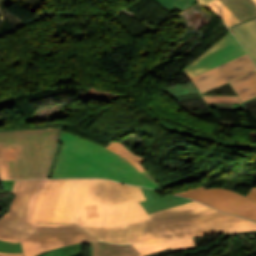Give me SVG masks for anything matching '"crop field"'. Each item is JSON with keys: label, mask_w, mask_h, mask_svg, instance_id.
<instances>
[{"label": "crop field", "mask_w": 256, "mask_h": 256, "mask_svg": "<svg viewBox=\"0 0 256 256\" xmlns=\"http://www.w3.org/2000/svg\"><path fill=\"white\" fill-rule=\"evenodd\" d=\"M208 5L224 20L227 26L239 21L219 0Z\"/></svg>", "instance_id": "17"}, {"label": "crop field", "mask_w": 256, "mask_h": 256, "mask_svg": "<svg viewBox=\"0 0 256 256\" xmlns=\"http://www.w3.org/2000/svg\"><path fill=\"white\" fill-rule=\"evenodd\" d=\"M0 256H10V255H1V254H0ZM19 256H23V255H19Z\"/></svg>", "instance_id": "27"}, {"label": "crop field", "mask_w": 256, "mask_h": 256, "mask_svg": "<svg viewBox=\"0 0 256 256\" xmlns=\"http://www.w3.org/2000/svg\"><path fill=\"white\" fill-rule=\"evenodd\" d=\"M159 121H160V123H161L164 127L168 128V129H170V130H173V131H175V132H178V133H181V134H184V135L193 137V138H197V139H201V140H205V141H209V142H213V143H217V144L229 145V146L240 147V148H245V149H249V150H254V151H256V146L246 145V144H238V143H232V142H227V141H221V140L211 139V138H208V137H205V136H202V135H199V134L190 132V131H188V130L179 128V127H177V126H174V125L169 124V123H167V122H164V121H162V120H159Z\"/></svg>", "instance_id": "15"}, {"label": "crop field", "mask_w": 256, "mask_h": 256, "mask_svg": "<svg viewBox=\"0 0 256 256\" xmlns=\"http://www.w3.org/2000/svg\"><path fill=\"white\" fill-rule=\"evenodd\" d=\"M244 55L246 52L229 33L186 68L184 72L191 78Z\"/></svg>", "instance_id": "7"}, {"label": "crop field", "mask_w": 256, "mask_h": 256, "mask_svg": "<svg viewBox=\"0 0 256 256\" xmlns=\"http://www.w3.org/2000/svg\"><path fill=\"white\" fill-rule=\"evenodd\" d=\"M140 187L106 179H67L52 223H75L88 234L127 244L256 230V222L192 201L147 215Z\"/></svg>", "instance_id": "1"}, {"label": "crop field", "mask_w": 256, "mask_h": 256, "mask_svg": "<svg viewBox=\"0 0 256 256\" xmlns=\"http://www.w3.org/2000/svg\"><path fill=\"white\" fill-rule=\"evenodd\" d=\"M210 108L249 111L244 104H208Z\"/></svg>", "instance_id": "22"}, {"label": "crop field", "mask_w": 256, "mask_h": 256, "mask_svg": "<svg viewBox=\"0 0 256 256\" xmlns=\"http://www.w3.org/2000/svg\"><path fill=\"white\" fill-rule=\"evenodd\" d=\"M178 195L197 199L221 211L239 214L256 221V202L238 193L224 189L205 190L201 187Z\"/></svg>", "instance_id": "6"}, {"label": "crop field", "mask_w": 256, "mask_h": 256, "mask_svg": "<svg viewBox=\"0 0 256 256\" xmlns=\"http://www.w3.org/2000/svg\"><path fill=\"white\" fill-rule=\"evenodd\" d=\"M256 70L249 56L238 58L190 80L199 93Z\"/></svg>", "instance_id": "8"}, {"label": "crop field", "mask_w": 256, "mask_h": 256, "mask_svg": "<svg viewBox=\"0 0 256 256\" xmlns=\"http://www.w3.org/2000/svg\"><path fill=\"white\" fill-rule=\"evenodd\" d=\"M65 180H15L12 193L16 196L0 218V239L21 242L36 231L37 222L51 223Z\"/></svg>", "instance_id": "3"}, {"label": "crop field", "mask_w": 256, "mask_h": 256, "mask_svg": "<svg viewBox=\"0 0 256 256\" xmlns=\"http://www.w3.org/2000/svg\"><path fill=\"white\" fill-rule=\"evenodd\" d=\"M82 244L61 248L60 251L63 256H75L81 254Z\"/></svg>", "instance_id": "23"}, {"label": "crop field", "mask_w": 256, "mask_h": 256, "mask_svg": "<svg viewBox=\"0 0 256 256\" xmlns=\"http://www.w3.org/2000/svg\"><path fill=\"white\" fill-rule=\"evenodd\" d=\"M0 179H1V177H0Z\"/></svg>", "instance_id": "29"}, {"label": "crop field", "mask_w": 256, "mask_h": 256, "mask_svg": "<svg viewBox=\"0 0 256 256\" xmlns=\"http://www.w3.org/2000/svg\"><path fill=\"white\" fill-rule=\"evenodd\" d=\"M240 21L256 16L253 0H220Z\"/></svg>", "instance_id": "14"}, {"label": "crop field", "mask_w": 256, "mask_h": 256, "mask_svg": "<svg viewBox=\"0 0 256 256\" xmlns=\"http://www.w3.org/2000/svg\"><path fill=\"white\" fill-rule=\"evenodd\" d=\"M61 142L65 145L58 158L54 178H108L160 189L147 170L139 173L131 163L102 146L64 132Z\"/></svg>", "instance_id": "2"}, {"label": "crop field", "mask_w": 256, "mask_h": 256, "mask_svg": "<svg viewBox=\"0 0 256 256\" xmlns=\"http://www.w3.org/2000/svg\"><path fill=\"white\" fill-rule=\"evenodd\" d=\"M162 6H164L169 11L173 10L174 5L176 8L183 10L190 5L196 3V0H157Z\"/></svg>", "instance_id": "18"}, {"label": "crop field", "mask_w": 256, "mask_h": 256, "mask_svg": "<svg viewBox=\"0 0 256 256\" xmlns=\"http://www.w3.org/2000/svg\"><path fill=\"white\" fill-rule=\"evenodd\" d=\"M142 255L151 254L161 249L172 248L173 251L195 248L193 239H181L148 244H134Z\"/></svg>", "instance_id": "13"}, {"label": "crop field", "mask_w": 256, "mask_h": 256, "mask_svg": "<svg viewBox=\"0 0 256 256\" xmlns=\"http://www.w3.org/2000/svg\"><path fill=\"white\" fill-rule=\"evenodd\" d=\"M161 89L163 91H165L168 95L196 91L191 82L178 84V85H174V86H169V87H165V88H161Z\"/></svg>", "instance_id": "19"}, {"label": "crop field", "mask_w": 256, "mask_h": 256, "mask_svg": "<svg viewBox=\"0 0 256 256\" xmlns=\"http://www.w3.org/2000/svg\"><path fill=\"white\" fill-rule=\"evenodd\" d=\"M142 190L147 201H143L141 204L148 214L192 201L172 195L159 197L154 190L144 188Z\"/></svg>", "instance_id": "11"}, {"label": "crop field", "mask_w": 256, "mask_h": 256, "mask_svg": "<svg viewBox=\"0 0 256 256\" xmlns=\"http://www.w3.org/2000/svg\"><path fill=\"white\" fill-rule=\"evenodd\" d=\"M230 30L256 64V18L234 25Z\"/></svg>", "instance_id": "10"}, {"label": "crop field", "mask_w": 256, "mask_h": 256, "mask_svg": "<svg viewBox=\"0 0 256 256\" xmlns=\"http://www.w3.org/2000/svg\"><path fill=\"white\" fill-rule=\"evenodd\" d=\"M98 240L75 224L38 223L37 231L21 242L25 256H36L64 245Z\"/></svg>", "instance_id": "5"}, {"label": "crop field", "mask_w": 256, "mask_h": 256, "mask_svg": "<svg viewBox=\"0 0 256 256\" xmlns=\"http://www.w3.org/2000/svg\"><path fill=\"white\" fill-rule=\"evenodd\" d=\"M0 172L2 179H11L3 144H0Z\"/></svg>", "instance_id": "20"}, {"label": "crop field", "mask_w": 256, "mask_h": 256, "mask_svg": "<svg viewBox=\"0 0 256 256\" xmlns=\"http://www.w3.org/2000/svg\"><path fill=\"white\" fill-rule=\"evenodd\" d=\"M106 148L120 154L125 159H127L129 162H131L133 165L137 167L139 172L145 170V168L141 165L140 162L144 161V159L132 154L126 147H124L122 144L113 141L110 145H108Z\"/></svg>", "instance_id": "16"}, {"label": "crop field", "mask_w": 256, "mask_h": 256, "mask_svg": "<svg viewBox=\"0 0 256 256\" xmlns=\"http://www.w3.org/2000/svg\"><path fill=\"white\" fill-rule=\"evenodd\" d=\"M247 197L256 201V188H252L251 191L248 193Z\"/></svg>", "instance_id": "25"}, {"label": "crop field", "mask_w": 256, "mask_h": 256, "mask_svg": "<svg viewBox=\"0 0 256 256\" xmlns=\"http://www.w3.org/2000/svg\"><path fill=\"white\" fill-rule=\"evenodd\" d=\"M0 251L9 253H20L21 245L20 243H12L0 240Z\"/></svg>", "instance_id": "21"}, {"label": "crop field", "mask_w": 256, "mask_h": 256, "mask_svg": "<svg viewBox=\"0 0 256 256\" xmlns=\"http://www.w3.org/2000/svg\"><path fill=\"white\" fill-rule=\"evenodd\" d=\"M212 0H198V2L203 6L205 4H207L208 2H210Z\"/></svg>", "instance_id": "26"}, {"label": "crop field", "mask_w": 256, "mask_h": 256, "mask_svg": "<svg viewBox=\"0 0 256 256\" xmlns=\"http://www.w3.org/2000/svg\"><path fill=\"white\" fill-rule=\"evenodd\" d=\"M238 95H205L207 103H244L256 98V71L231 82Z\"/></svg>", "instance_id": "9"}, {"label": "crop field", "mask_w": 256, "mask_h": 256, "mask_svg": "<svg viewBox=\"0 0 256 256\" xmlns=\"http://www.w3.org/2000/svg\"><path fill=\"white\" fill-rule=\"evenodd\" d=\"M255 1V3H256V0H254Z\"/></svg>", "instance_id": "28"}, {"label": "crop field", "mask_w": 256, "mask_h": 256, "mask_svg": "<svg viewBox=\"0 0 256 256\" xmlns=\"http://www.w3.org/2000/svg\"><path fill=\"white\" fill-rule=\"evenodd\" d=\"M41 256H61L58 249L48 251L46 253L41 254Z\"/></svg>", "instance_id": "24"}, {"label": "crop field", "mask_w": 256, "mask_h": 256, "mask_svg": "<svg viewBox=\"0 0 256 256\" xmlns=\"http://www.w3.org/2000/svg\"><path fill=\"white\" fill-rule=\"evenodd\" d=\"M63 127L0 131L12 179L48 178Z\"/></svg>", "instance_id": "4"}, {"label": "crop field", "mask_w": 256, "mask_h": 256, "mask_svg": "<svg viewBox=\"0 0 256 256\" xmlns=\"http://www.w3.org/2000/svg\"><path fill=\"white\" fill-rule=\"evenodd\" d=\"M90 256H140L132 245H114L104 241L90 242Z\"/></svg>", "instance_id": "12"}]
</instances>
